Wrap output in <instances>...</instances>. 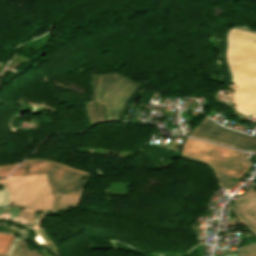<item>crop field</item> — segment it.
Segmentation results:
<instances>
[{"label":"crop field","mask_w":256,"mask_h":256,"mask_svg":"<svg viewBox=\"0 0 256 256\" xmlns=\"http://www.w3.org/2000/svg\"><path fill=\"white\" fill-rule=\"evenodd\" d=\"M138 85L116 75H100L96 101L105 105L108 118L118 117Z\"/></svg>","instance_id":"3"},{"label":"crop field","mask_w":256,"mask_h":256,"mask_svg":"<svg viewBox=\"0 0 256 256\" xmlns=\"http://www.w3.org/2000/svg\"><path fill=\"white\" fill-rule=\"evenodd\" d=\"M27 164H29L27 174L46 173L53 191L77 197L86 181L81 179L89 175L79 170L68 168L60 163L42 160H26L11 175L25 174Z\"/></svg>","instance_id":"1"},{"label":"crop field","mask_w":256,"mask_h":256,"mask_svg":"<svg viewBox=\"0 0 256 256\" xmlns=\"http://www.w3.org/2000/svg\"><path fill=\"white\" fill-rule=\"evenodd\" d=\"M198 127L220 134L223 128L211 120L204 118L200 124L189 134L191 136L213 140L225 145L249 151L256 145V138L226 129L220 135L198 129Z\"/></svg>","instance_id":"4"},{"label":"crop field","mask_w":256,"mask_h":256,"mask_svg":"<svg viewBox=\"0 0 256 256\" xmlns=\"http://www.w3.org/2000/svg\"><path fill=\"white\" fill-rule=\"evenodd\" d=\"M16 165L17 164H9V165L0 166V176H5L9 174Z\"/></svg>","instance_id":"6"},{"label":"crop field","mask_w":256,"mask_h":256,"mask_svg":"<svg viewBox=\"0 0 256 256\" xmlns=\"http://www.w3.org/2000/svg\"><path fill=\"white\" fill-rule=\"evenodd\" d=\"M256 35L231 29L228 64L233 76L256 82Z\"/></svg>","instance_id":"2"},{"label":"crop field","mask_w":256,"mask_h":256,"mask_svg":"<svg viewBox=\"0 0 256 256\" xmlns=\"http://www.w3.org/2000/svg\"><path fill=\"white\" fill-rule=\"evenodd\" d=\"M231 82L239 85L234 95L236 108L245 114L256 116V84L232 76Z\"/></svg>","instance_id":"5"}]
</instances>
